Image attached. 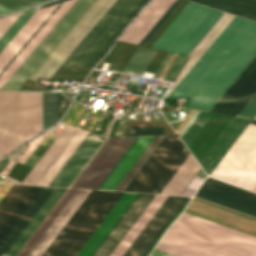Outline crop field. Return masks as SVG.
<instances>
[{"instance_id": "eef30255", "label": "crop field", "mask_w": 256, "mask_h": 256, "mask_svg": "<svg viewBox=\"0 0 256 256\" xmlns=\"http://www.w3.org/2000/svg\"><path fill=\"white\" fill-rule=\"evenodd\" d=\"M200 169L190 154L161 193L181 195Z\"/></svg>"}, {"instance_id": "425ffa30", "label": "crop field", "mask_w": 256, "mask_h": 256, "mask_svg": "<svg viewBox=\"0 0 256 256\" xmlns=\"http://www.w3.org/2000/svg\"><path fill=\"white\" fill-rule=\"evenodd\" d=\"M152 254H155V255H158V256H169V255H166L164 253H161V252H158V251H153Z\"/></svg>"}, {"instance_id": "bc2a9ffb", "label": "crop field", "mask_w": 256, "mask_h": 256, "mask_svg": "<svg viewBox=\"0 0 256 256\" xmlns=\"http://www.w3.org/2000/svg\"><path fill=\"white\" fill-rule=\"evenodd\" d=\"M153 196L138 194L92 256H109Z\"/></svg>"}, {"instance_id": "bd1437ed", "label": "crop field", "mask_w": 256, "mask_h": 256, "mask_svg": "<svg viewBox=\"0 0 256 256\" xmlns=\"http://www.w3.org/2000/svg\"><path fill=\"white\" fill-rule=\"evenodd\" d=\"M155 248L175 256H213L164 238L158 242Z\"/></svg>"}, {"instance_id": "92a150f3", "label": "crop field", "mask_w": 256, "mask_h": 256, "mask_svg": "<svg viewBox=\"0 0 256 256\" xmlns=\"http://www.w3.org/2000/svg\"><path fill=\"white\" fill-rule=\"evenodd\" d=\"M103 139L89 133L50 185L68 187Z\"/></svg>"}, {"instance_id": "03da06ac", "label": "crop field", "mask_w": 256, "mask_h": 256, "mask_svg": "<svg viewBox=\"0 0 256 256\" xmlns=\"http://www.w3.org/2000/svg\"><path fill=\"white\" fill-rule=\"evenodd\" d=\"M19 185H13L11 190L8 192V194L5 196V198L0 203V210L3 208V206L6 204V202L9 200V198L12 196V194L15 192V190L18 188ZM20 187V186H19ZM17 191V190H16Z\"/></svg>"}, {"instance_id": "1d83c4d3", "label": "crop field", "mask_w": 256, "mask_h": 256, "mask_svg": "<svg viewBox=\"0 0 256 256\" xmlns=\"http://www.w3.org/2000/svg\"><path fill=\"white\" fill-rule=\"evenodd\" d=\"M37 8L38 7L24 11L16 22L10 27V29L3 35V37L0 39V51L13 38V36L19 31V29L25 24V22L37 10Z\"/></svg>"}, {"instance_id": "e1f06a70", "label": "crop field", "mask_w": 256, "mask_h": 256, "mask_svg": "<svg viewBox=\"0 0 256 256\" xmlns=\"http://www.w3.org/2000/svg\"><path fill=\"white\" fill-rule=\"evenodd\" d=\"M182 0H176L171 7L166 11V13L161 17V19L156 23V25L151 29V31L146 35V37L141 41L140 45L145 46L146 43L151 39V37L156 33V31L161 27V25L166 21V19L171 15V13L176 9V7L181 3Z\"/></svg>"}, {"instance_id": "22f410ed", "label": "crop field", "mask_w": 256, "mask_h": 256, "mask_svg": "<svg viewBox=\"0 0 256 256\" xmlns=\"http://www.w3.org/2000/svg\"><path fill=\"white\" fill-rule=\"evenodd\" d=\"M87 134L65 126L22 183L49 185Z\"/></svg>"}, {"instance_id": "e52e79f7", "label": "crop field", "mask_w": 256, "mask_h": 256, "mask_svg": "<svg viewBox=\"0 0 256 256\" xmlns=\"http://www.w3.org/2000/svg\"><path fill=\"white\" fill-rule=\"evenodd\" d=\"M65 0H58V1H54L45 5H42L39 7V9L59 3V2H63ZM76 0H68L65 1L61 4L58 5H53L41 10H38L34 13V15L27 21V23L20 29V31L14 36V38L8 43V45L2 50V52L0 53V72L1 70L8 64V62L14 57V55L20 50V48L26 43V41L32 36V34L38 29V27L45 21V19L51 14V12L57 7L58 5V9L52 12V16L46 19V23L43 24L39 27V31L37 33V31L33 34V39L32 37L27 41V46L26 44L21 48V53L20 51L15 55V57L9 62V64L2 70V72L0 73V75L4 73L0 76V88L1 86L8 80V78L14 73V71L21 65V63L27 58V56L33 51V49L39 44V42L46 36V34L52 29V27L58 22V20L64 15V13L70 8V6L75 2Z\"/></svg>"}, {"instance_id": "5866460e", "label": "crop field", "mask_w": 256, "mask_h": 256, "mask_svg": "<svg viewBox=\"0 0 256 256\" xmlns=\"http://www.w3.org/2000/svg\"><path fill=\"white\" fill-rule=\"evenodd\" d=\"M29 187L30 186H21L20 185V187L17 189V191L13 194V196L10 198V200L7 202V204L1 210L0 226L4 222V220L7 218V216L10 214V212L14 209V207L17 205V203L20 201V199L23 197V195L26 193V191L29 189Z\"/></svg>"}, {"instance_id": "dd49c442", "label": "crop field", "mask_w": 256, "mask_h": 256, "mask_svg": "<svg viewBox=\"0 0 256 256\" xmlns=\"http://www.w3.org/2000/svg\"><path fill=\"white\" fill-rule=\"evenodd\" d=\"M122 194L91 191L42 256H76Z\"/></svg>"}, {"instance_id": "4177f3b9", "label": "crop field", "mask_w": 256, "mask_h": 256, "mask_svg": "<svg viewBox=\"0 0 256 256\" xmlns=\"http://www.w3.org/2000/svg\"><path fill=\"white\" fill-rule=\"evenodd\" d=\"M233 17L234 15L226 13L222 15V17L217 21V23L212 27V29L207 33V35L202 39V41L197 45V47L192 51L189 60L183 67L182 71L178 75L177 79L173 83L165 98L178 84V82L184 77V75L189 71V69L195 64V62L200 58V56L205 52V50L211 45V43L216 39V37L222 32V30L227 26V24L232 20Z\"/></svg>"}, {"instance_id": "d8731c3e", "label": "crop field", "mask_w": 256, "mask_h": 256, "mask_svg": "<svg viewBox=\"0 0 256 256\" xmlns=\"http://www.w3.org/2000/svg\"><path fill=\"white\" fill-rule=\"evenodd\" d=\"M221 14L189 2L152 47L188 55Z\"/></svg>"}, {"instance_id": "5142ce71", "label": "crop field", "mask_w": 256, "mask_h": 256, "mask_svg": "<svg viewBox=\"0 0 256 256\" xmlns=\"http://www.w3.org/2000/svg\"><path fill=\"white\" fill-rule=\"evenodd\" d=\"M165 136L160 137H138L137 140L134 142V144L131 146V148L127 151V153L124 155V157L121 159V161L117 164V166L114 168V170L111 172V174L107 177V179L104 181V183L101 185L99 189H109V190H119L124 191L125 188L128 186V184L131 182V180L134 178V176L138 173V171L141 169V167L144 165V163L147 161V159L150 157V155L154 152V150L157 148V146L160 144V142L163 140Z\"/></svg>"}, {"instance_id": "34b2d1b8", "label": "crop field", "mask_w": 256, "mask_h": 256, "mask_svg": "<svg viewBox=\"0 0 256 256\" xmlns=\"http://www.w3.org/2000/svg\"><path fill=\"white\" fill-rule=\"evenodd\" d=\"M59 120L58 93L43 92V130ZM42 132V92H0V158Z\"/></svg>"}, {"instance_id": "d23c7cc5", "label": "crop field", "mask_w": 256, "mask_h": 256, "mask_svg": "<svg viewBox=\"0 0 256 256\" xmlns=\"http://www.w3.org/2000/svg\"><path fill=\"white\" fill-rule=\"evenodd\" d=\"M12 185L0 184V201L11 188Z\"/></svg>"}, {"instance_id": "d9b57169", "label": "crop field", "mask_w": 256, "mask_h": 256, "mask_svg": "<svg viewBox=\"0 0 256 256\" xmlns=\"http://www.w3.org/2000/svg\"><path fill=\"white\" fill-rule=\"evenodd\" d=\"M256 93V56L210 110L237 116Z\"/></svg>"}, {"instance_id": "c21b1889", "label": "crop field", "mask_w": 256, "mask_h": 256, "mask_svg": "<svg viewBox=\"0 0 256 256\" xmlns=\"http://www.w3.org/2000/svg\"><path fill=\"white\" fill-rule=\"evenodd\" d=\"M21 13L22 12L0 19V38L9 29V27L15 22V20L21 15Z\"/></svg>"}, {"instance_id": "d32e631a", "label": "crop field", "mask_w": 256, "mask_h": 256, "mask_svg": "<svg viewBox=\"0 0 256 256\" xmlns=\"http://www.w3.org/2000/svg\"><path fill=\"white\" fill-rule=\"evenodd\" d=\"M47 0H0V16Z\"/></svg>"}, {"instance_id": "73cf0c24", "label": "crop field", "mask_w": 256, "mask_h": 256, "mask_svg": "<svg viewBox=\"0 0 256 256\" xmlns=\"http://www.w3.org/2000/svg\"><path fill=\"white\" fill-rule=\"evenodd\" d=\"M254 120H256V116H255Z\"/></svg>"}, {"instance_id": "120bbe31", "label": "crop field", "mask_w": 256, "mask_h": 256, "mask_svg": "<svg viewBox=\"0 0 256 256\" xmlns=\"http://www.w3.org/2000/svg\"><path fill=\"white\" fill-rule=\"evenodd\" d=\"M166 135L162 125L128 126L124 136Z\"/></svg>"}, {"instance_id": "b80d0937", "label": "crop field", "mask_w": 256, "mask_h": 256, "mask_svg": "<svg viewBox=\"0 0 256 256\" xmlns=\"http://www.w3.org/2000/svg\"><path fill=\"white\" fill-rule=\"evenodd\" d=\"M191 198H186V200L183 202V204L180 206V208L177 210V212L174 214V216L171 218V220L168 222V224L164 227V229L161 231V233L158 235V237L155 239V241L152 243V245L149 247V249L145 252V254L143 256H148L151 252V250L153 249V247L155 246V244L157 243V241L159 240V238L161 237V235L163 234V232L165 231V229L167 228V226L174 221L183 211V209L185 208V206L188 204V202L190 201Z\"/></svg>"}, {"instance_id": "4a817a6b", "label": "crop field", "mask_w": 256, "mask_h": 256, "mask_svg": "<svg viewBox=\"0 0 256 256\" xmlns=\"http://www.w3.org/2000/svg\"><path fill=\"white\" fill-rule=\"evenodd\" d=\"M185 198L168 196L123 256H142Z\"/></svg>"}, {"instance_id": "00972430", "label": "crop field", "mask_w": 256, "mask_h": 256, "mask_svg": "<svg viewBox=\"0 0 256 256\" xmlns=\"http://www.w3.org/2000/svg\"><path fill=\"white\" fill-rule=\"evenodd\" d=\"M167 196L155 195L136 222L132 225L110 256H122L129 248L147 222L151 219Z\"/></svg>"}, {"instance_id": "8a807250", "label": "crop field", "mask_w": 256, "mask_h": 256, "mask_svg": "<svg viewBox=\"0 0 256 256\" xmlns=\"http://www.w3.org/2000/svg\"><path fill=\"white\" fill-rule=\"evenodd\" d=\"M255 55L256 23L235 16L167 98L209 111Z\"/></svg>"}, {"instance_id": "028f5c9d", "label": "crop field", "mask_w": 256, "mask_h": 256, "mask_svg": "<svg viewBox=\"0 0 256 256\" xmlns=\"http://www.w3.org/2000/svg\"><path fill=\"white\" fill-rule=\"evenodd\" d=\"M85 110L86 107L82 106V104L73 102L72 106L70 107L66 116L62 119L61 122L77 127Z\"/></svg>"}, {"instance_id": "dafd665d", "label": "crop field", "mask_w": 256, "mask_h": 256, "mask_svg": "<svg viewBox=\"0 0 256 256\" xmlns=\"http://www.w3.org/2000/svg\"><path fill=\"white\" fill-rule=\"evenodd\" d=\"M137 194L124 193L77 256H91Z\"/></svg>"}, {"instance_id": "d3111659", "label": "crop field", "mask_w": 256, "mask_h": 256, "mask_svg": "<svg viewBox=\"0 0 256 256\" xmlns=\"http://www.w3.org/2000/svg\"><path fill=\"white\" fill-rule=\"evenodd\" d=\"M42 187L31 186L28 192L24 195L12 213L8 216L5 222L0 227V242L11 229V227L15 224L21 214L25 211L31 201L35 198L38 192Z\"/></svg>"}, {"instance_id": "25e5ab78", "label": "crop field", "mask_w": 256, "mask_h": 256, "mask_svg": "<svg viewBox=\"0 0 256 256\" xmlns=\"http://www.w3.org/2000/svg\"><path fill=\"white\" fill-rule=\"evenodd\" d=\"M150 256H155V255L150 254Z\"/></svg>"}, {"instance_id": "ac0d7876", "label": "crop field", "mask_w": 256, "mask_h": 256, "mask_svg": "<svg viewBox=\"0 0 256 256\" xmlns=\"http://www.w3.org/2000/svg\"><path fill=\"white\" fill-rule=\"evenodd\" d=\"M116 1L96 0L29 79L51 77ZM133 1L118 0L62 66H78ZM147 1L135 0L79 66L95 65Z\"/></svg>"}, {"instance_id": "a9b5d70f", "label": "crop field", "mask_w": 256, "mask_h": 256, "mask_svg": "<svg viewBox=\"0 0 256 256\" xmlns=\"http://www.w3.org/2000/svg\"><path fill=\"white\" fill-rule=\"evenodd\" d=\"M54 188L43 187L36 198L32 201L26 211L22 214L16 224L12 227L3 241L0 243V256H3L12 243L16 240L34 214L38 211Z\"/></svg>"}, {"instance_id": "cbeb9de0", "label": "crop field", "mask_w": 256, "mask_h": 256, "mask_svg": "<svg viewBox=\"0 0 256 256\" xmlns=\"http://www.w3.org/2000/svg\"><path fill=\"white\" fill-rule=\"evenodd\" d=\"M136 138H107L70 187L99 188Z\"/></svg>"}, {"instance_id": "c035e120", "label": "crop field", "mask_w": 256, "mask_h": 256, "mask_svg": "<svg viewBox=\"0 0 256 256\" xmlns=\"http://www.w3.org/2000/svg\"><path fill=\"white\" fill-rule=\"evenodd\" d=\"M255 115H256V94L250 100V102L245 106V108L240 112L238 116L253 119Z\"/></svg>"}, {"instance_id": "28ad6ade", "label": "crop field", "mask_w": 256, "mask_h": 256, "mask_svg": "<svg viewBox=\"0 0 256 256\" xmlns=\"http://www.w3.org/2000/svg\"><path fill=\"white\" fill-rule=\"evenodd\" d=\"M94 0H77L0 90H18Z\"/></svg>"}, {"instance_id": "750c4746", "label": "crop field", "mask_w": 256, "mask_h": 256, "mask_svg": "<svg viewBox=\"0 0 256 256\" xmlns=\"http://www.w3.org/2000/svg\"><path fill=\"white\" fill-rule=\"evenodd\" d=\"M156 52V49L138 46L123 71L132 70L136 74L143 75Z\"/></svg>"}, {"instance_id": "5a996713", "label": "crop field", "mask_w": 256, "mask_h": 256, "mask_svg": "<svg viewBox=\"0 0 256 256\" xmlns=\"http://www.w3.org/2000/svg\"><path fill=\"white\" fill-rule=\"evenodd\" d=\"M189 154L178 137H165L125 191L160 193Z\"/></svg>"}, {"instance_id": "730fd06b", "label": "crop field", "mask_w": 256, "mask_h": 256, "mask_svg": "<svg viewBox=\"0 0 256 256\" xmlns=\"http://www.w3.org/2000/svg\"><path fill=\"white\" fill-rule=\"evenodd\" d=\"M64 190L65 189L61 188L54 189V191L51 193V195L48 197V199L45 201V203L42 205V207L32 218V220L29 222V224L26 226V228L23 230V232L20 234V236L13 243V245L4 256H15L17 254L23 244L27 241V239L30 237V235L33 233V231L36 229V227L39 225L45 215L49 212V210L64 192Z\"/></svg>"}, {"instance_id": "5d738f31", "label": "crop field", "mask_w": 256, "mask_h": 256, "mask_svg": "<svg viewBox=\"0 0 256 256\" xmlns=\"http://www.w3.org/2000/svg\"><path fill=\"white\" fill-rule=\"evenodd\" d=\"M101 112H102L101 110H99V109L97 110V112H96V114H95V116H94V118H93V120H92V122H91V124L88 128V131H91V132L93 131Z\"/></svg>"}, {"instance_id": "b54c1fbb", "label": "crop field", "mask_w": 256, "mask_h": 256, "mask_svg": "<svg viewBox=\"0 0 256 256\" xmlns=\"http://www.w3.org/2000/svg\"><path fill=\"white\" fill-rule=\"evenodd\" d=\"M171 56H172V54L168 53V55L166 56L165 60L163 61V63L161 64V66L157 70L156 74L154 75L155 78H158V76L160 75L161 71L163 70V68L165 67V65L167 64V62L169 61Z\"/></svg>"}, {"instance_id": "733c2abd", "label": "crop field", "mask_w": 256, "mask_h": 256, "mask_svg": "<svg viewBox=\"0 0 256 256\" xmlns=\"http://www.w3.org/2000/svg\"><path fill=\"white\" fill-rule=\"evenodd\" d=\"M196 196L256 217V194L207 178Z\"/></svg>"}, {"instance_id": "ae1a2a85", "label": "crop field", "mask_w": 256, "mask_h": 256, "mask_svg": "<svg viewBox=\"0 0 256 256\" xmlns=\"http://www.w3.org/2000/svg\"><path fill=\"white\" fill-rule=\"evenodd\" d=\"M256 20V0H191Z\"/></svg>"}, {"instance_id": "0bd39190", "label": "crop field", "mask_w": 256, "mask_h": 256, "mask_svg": "<svg viewBox=\"0 0 256 256\" xmlns=\"http://www.w3.org/2000/svg\"><path fill=\"white\" fill-rule=\"evenodd\" d=\"M188 57L178 55L176 58L175 62L167 72L166 76L164 77L165 80H170L174 81L175 77L179 73L180 69L184 65L185 61L187 60Z\"/></svg>"}, {"instance_id": "3316defc", "label": "crop field", "mask_w": 256, "mask_h": 256, "mask_svg": "<svg viewBox=\"0 0 256 256\" xmlns=\"http://www.w3.org/2000/svg\"><path fill=\"white\" fill-rule=\"evenodd\" d=\"M250 125L256 126L252 120ZM248 125L210 176L256 192V127Z\"/></svg>"}, {"instance_id": "f4fd0767", "label": "crop field", "mask_w": 256, "mask_h": 256, "mask_svg": "<svg viewBox=\"0 0 256 256\" xmlns=\"http://www.w3.org/2000/svg\"><path fill=\"white\" fill-rule=\"evenodd\" d=\"M249 122L201 111L181 138L209 175Z\"/></svg>"}, {"instance_id": "412701ff", "label": "crop field", "mask_w": 256, "mask_h": 256, "mask_svg": "<svg viewBox=\"0 0 256 256\" xmlns=\"http://www.w3.org/2000/svg\"><path fill=\"white\" fill-rule=\"evenodd\" d=\"M164 238L216 256H256V237L185 212Z\"/></svg>"}, {"instance_id": "214f88e0", "label": "crop field", "mask_w": 256, "mask_h": 256, "mask_svg": "<svg viewBox=\"0 0 256 256\" xmlns=\"http://www.w3.org/2000/svg\"><path fill=\"white\" fill-rule=\"evenodd\" d=\"M175 0H151L119 40L139 44Z\"/></svg>"}, {"instance_id": "d1516ede", "label": "crop field", "mask_w": 256, "mask_h": 256, "mask_svg": "<svg viewBox=\"0 0 256 256\" xmlns=\"http://www.w3.org/2000/svg\"><path fill=\"white\" fill-rule=\"evenodd\" d=\"M89 192L68 189L17 256H41Z\"/></svg>"}]
</instances>
